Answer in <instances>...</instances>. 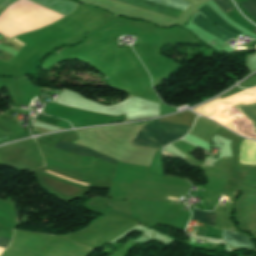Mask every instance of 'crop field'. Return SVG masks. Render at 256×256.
<instances>
[{
  "label": "crop field",
  "instance_id": "d8731c3e",
  "mask_svg": "<svg viewBox=\"0 0 256 256\" xmlns=\"http://www.w3.org/2000/svg\"><path fill=\"white\" fill-rule=\"evenodd\" d=\"M200 9L203 14L208 17L212 22L223 28L224 30L238 36L242 32L236 30L235 28L229 26L225 21H223L214 11H212L206 4L201 6ZM199 10V11H200Z\"/></svg>",
  "mask_w": 256,
  "mask_h": 256
},
{
  "label": "crop field",
  "instance_id": "e52e79f7",
  "mask_svg": "<svg viewBox=\"0 0 256 256\" xmlns=\"http://www.w3.org/2000/svg\"><path fill=\"white\" fill-rule=\"evenodd\" d=\"M223 239L233 247L254 249L250 239L232 230L223 231Z\"/></svg>",
  "mask_w": 256,
  "mask_h": 256
},
{
  "label": "crop field",
  "instance_id": "412701ff",
  "mask_svg": "<svg viewBox=\"0 0 256 256\" xmlns=\"http://www.w3.org/2000/svg\"><path fill=\"white\" fill-rule=\"evenodd\" d=\"M50 167L54 168V169H57V170H60V171H63V172H66V173H70V174L85 178L82 171L77 170V169H73V168H70V167H67V166H64V165H61V164L51 162V161H50ZM41 172H44V173L62 178L64 180H67V181H70V182H73V183H76V184H79V185H82V186L88 184L87 181H85V180H82V179H79V178H76V177H73V176H70V175H66V174L51 170V169L44 170V171H41ZM41 172H40V174H41L42 177L60 182L62 184H65V185H68V186H71V187H74V188H77V189L82 188V186H79V185L61 180L59 178H56V177H53V176H50V175H47V174H44V173H41Z\"/></svg>",
  "mask_w": 256,
  "mask_h": 256
},
{
  "label": "crop field",
  "instance_id": "28ad6ade",
  "mask_svg": "<svg viewBox=\"0 0 256 256\" xmlns=\"http://www.w3.org/2000/svg\"><path fill=\"white\" fill-rule=\"evenodd\" d=\"M241 5L256 20V0H249L241 3Z\"/></svg>",
  "mask_w": 256,
  "mask_h": 256
},
{
  "label": "crop field",
  "instance_id": "d1516ede",
  "mask_svg": "<svg viewBox=\"0 0 256 256\" xmlns=\"http://www.w3.org/2000/svg\"><path fill=\"white\" fill-rule=\"evenodd\" d=\"M219 8L225 13L234 12V9L232 8L231 4L228 0H213Z\"/></svg>",
  "mask_w": 256,
  "mask_h": 256
},
{
  "label": "crop field",
  "instance_id": "f4fd0767",
  "mask_svg": "<svg viewBox=\"0 0 256 256\" xmlns=\"http://www.w3.org/2000/svg\"><path fill=\"white\" fill-rule=\"evenodd\" d=\"M54 147H57L59 149H62V150H65V151H68L70 153L80 155V156H83V157L91 155V156L97 157V158H99L103 161L117 164L116 160H114V159H112L108 156L101 155V154H99V153H97V152H95V151H93V150H91L87 147L77 146V145H74V144H71V143H68V142H65V141L57 143L56 145H54Z\"/></svg>",
  "mask_w": 256,
  "mask_h": 256
},
{
  "label": "crop field",
  "instance_id": "3316defc",
  "mask_svg": "<svg viewBox=\"0 0 256 256\" xmlns=\"http://www.w3.org/2000/svg\"><path fill=\"white\" fill-rule=\"evenodd\" d=\"M214 217H215V213H205V212L195 211L192 219H195L200 222H203V223L213 226L214 225Z\"/></svg>",
  "mask_w": 256,
  "mask_h": 256
},
{
  "label": "crop field",
  "instance_id": "cbeb9de0",
  "mask_svg": "<svg viewBox=\"0 0 256 256\" xmlns=\"http://www.w3.org/2000/svg\"><path fill=\"white\" fill-rule=\"evenodd\" d=\"M169 199H173V198H169ZM175 200H178V199H175Z\"/></svg>",
  "mask_w": 256,
  "mask_h": 256
},
{
  "label": "crop field",
  "instance_id": "ac0d7876",
  "mask_svg": "<svg viewBox=\"0 0 256 256\" xmlns=\"http://www.w3.org/2000/svg\"><path fill=\"white\" fill-rule=\"evenodd\" d=\"M69 37L73 36L53 24L41 30L26 33L24 35L15 37L14 39L24 44H22L23 46L20 45L21 43L18 44L19 42L14 39L13 40L18 43L12 41L11 39L9 41L26 49L30 53H33L36 50L42 49L46 46H49L53 43H56L62 39ZM24 49L18 54V56L13 61L10 62L11 64H14L18 69L32 55Z\"/></svg>",
  "mask_w": 256,
  "mask_h": 256
},
{
  "label": "crop field",
  "instance_id": "dd49c442",
  "mask_svg": "<svg viewBox=\"0 0 256 256\" xmlns=\"http://www.w3.org/2000/svg\"><path fill=\"white\" fill-rule=\"evenodd\" d=\"M192 23L206 30L207 32L211 33L212 35H214L215 37L219 38L224 42L231 38H236L231 34L227 33L226 31H224L223 29L219 28L218 26L214 25L213 23L209 22L199 14Z\"/></svg>",
  "mask_w": 256,
  "mask_h": 256
},
{
  "label": "crop field",
  "instance_id": "8a807250",
  "mask_svg": "<svg viewBox=\"0 0 256 256\" xmlns=\"http://www.w3.org/2000/svg\"><path fill=\"white\" fill-rule=\"evenodd\" d=\"M189 130L190 127L149 121L142 123L130 144L161 149L184 136Z\"/></svg>",
  "mask_w": 256,
  "mask_h": 256
},
{
  "label": "crop field",
  "instance_id": "22f410ed",
  "mask_svg": "<svg viewBox=\"0 0 256 256\" xmlns=\"http://www.w3.org/2000/svg\"><path fill=\"white\" fill-rule=\"evenodd\" d=\"M10 240L11 239L9 238L0 237V247L5 248L9 244Z\"/></svg>",
  "mask_w": 256,
  "mask_h": 256
},
{
  "label": "crop field",
  "instance_id": "34b2d1b8",
  "mask_svg": "<svg viewBox=\"0 0 256 256\" xmlns=\"http://www.w3.org/2000/svg\"><path fill=\"white\" fill-rule=\"evenodd\" d=\"M179 19L188 3L183 0H116Z\"/></svg>",
  "mask_w": 256,
  "mask_h": 256
},
{
  "label": "crop field",
  "instance_id": "5a996713",
  "mask_svg": "<svg viewBox=\"0 0 256 256\" xmlns=\"http://www.w3.org/2000/svg\"><path fill=\"white\" fill-rule=\"evenodd\" d=\"M195 117H196L195 115L186 111V112H183L180 114L170 116L168 118L159 119V121L192 126V124L195 120Z\"/></svg>",
  "mask_w": 256,
  "mask_h": 256
}]
</instances>
